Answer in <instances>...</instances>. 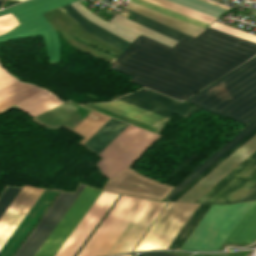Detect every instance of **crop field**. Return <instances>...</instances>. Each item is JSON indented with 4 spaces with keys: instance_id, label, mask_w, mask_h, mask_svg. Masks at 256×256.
<instances>
[{
    "instance_id": "8a807250",
    "label": "crop field",
    "mask_w": 256,
    "mask_h": 256,
    "mask_svg": "<svg viewBox=\"0 0 256 256\" xmlns=\"http://www.w3.org/2000/svg\"><path fill=\"white\" fill-rule=\"evenodd\" d=\"M256 54V44L208 27L191 41L173 47L143 35L109 68L131 81L184 100Z\"/></svg>"
},
{
    "instance_id": "ac0d7876",
    "label": "crop field",
    "mask_w": 256,
    "mask_h": 256,
    "mask_svg": "<svg viewBox=\"0 0 256 256\" xmlns=\"http://www.w3.org/2000/svg\"><path fill=\"white\" fill-rule=\"evenodd\" d=\"M166 203L121 195L77 256L132 251Z\"/></svg>"
},
{
    "instance_id": "34b2d1b8",
    "label": "crop field",
    "mask_w": 256,
    "mask_h": 256,
    "mask_svg": "<svg viewBox=\"0 0 256 256\" xmlns=\"http://www.w3.org/2000/svg\"><path fill=\"white\" fill-rule=\"evenodd\" d=\"M186 102L247 124L256 117V56Z\"/></svg>"
},
{
    "instance_id": "412701ff",
    "label": "crop field",
    "mask_w": 256,
    "mask_h": 256,
    "mask_svg": "<svg viewBox=\"0 0 256 256\" xmlns=\"http://www.w3.org/2000/svg\"><path fill=\"white\" fill-rule=\"evenodd\" d=\"M251 203L211 205L180 249L217 250ZM255 238L256 201H253L224 242L252 243Z\"/></svg>"
},
{
    "instance_id": "f4fd0767",
    "label": "crop field",
    "mask_w": 256,
    "mask_h": 256,
    "mask_svg": "<svg viewBox=\"0 0 256 256\" xmlns=\"http://www.w3.org/2000/svg\"><path fill=\"white\" fill-rule=\"evenodd\" d=\"M76 0H30L20 5L1 11L0 14V41H7L19 37H31L42 34L45 41L49 63L59 62L60 46L57 31L45 20L42 13L58 8Z\"/></svg>"
},
{
    "instance_id": "dd49c442",
    "label": "crop field",
    "mask_w": 256,
    "mask_h": 256,
    "mask_svg": "<svg viewBox=\"0 0 256 256\" xmlns=\"http://www.w3.org/2000/svg\"><path fill=\"white\" fill-rule=\"evenodd\" d=\"M129 125L98 156L102 157L98 168L109 178L114 179L140 156L158 137Z\"/></svg>"
},
{
    "instance_id": "e52e79f7",
    "label": "crop field",
    "mask_w": 256,
    "mask_h": 256,
    "mask_svg": "<svg viewBox=\"0 0 256 256\" xmlns=\"http://www.w3.org/2000/svg\"><path fill=\"white\" fill-rule=\"evenodd\" d=\"M256 182V150L194 202L232 203Z\"/></svg>"
},
{
    "instance_id": "d8731c3e",
    "label": "crop field",
    "mask_w": 256,
    "mask_h": 256,
    "mask_svg": "<svg viewBox=\"0 0 256 256\" xmlns=\"http://www.w3.org/2000/svg\"><path fill=\"white\" fill-rule=\"evenodd\" d=\"M198 205L169 202L135 250L168 248Z\"/></svg>"
},
{
    "instance_id": "5a996713",
    "label": "crop field",
    "mask_w": 256,
    "mask_h": 256,
    "mask_svg": "<svg viewBox=\"0 0 256 256\" xmlns=\"http://www.w3.org/2000/svg\"><path fill=\"white\" fill-rule=\"evenodd\" d=\"M117 197L102 191L55 256H74Z\"/></svg>"
},
{
    "instance_id": "3316defc",
    "label": "crop field",
    "mask_w": 256,
    "mask_h": 256,
    "mask_svg": "<svg viewBox=\"0 0 256 256\" xmlns=\"http://www.w3.org/2000/svg\"><path fill=\"white\" fill-rule=\"evenodd\" d=\"M84 185H80L75 194L61 192L56 201L53 203L51 208L45 214L43 219L21 246L15 256H33L40 245L43 243L45 238L54 228L56 223L65 213L67 208L73 202L75 197L81 191Z\"/></svg>"
},
{
    "instance_id": "28ad6ade",
    "label": "crop field",
    "mask_w": 256,
    "mask_h": 256,
    "mask_svg": "<svg viewBox=\"0 0 256 256\" xmlns=\"http://www.w3.org/2000/svg\"><path fill=\"white\" fill-rule=\"evenodd\" d=\"M118 99L162 115L169 119L173 114L185 118L198 109L162 96L150 90L146 91L143 89L136 93L122 96Z\"/></svg>"
},
{
    "instance_id": "d1516ede",
    "label": "crop field",
    "mask_w": 256,
    "mask_h": 256,
    "mask_svg": "<svg viewBox=\"0 0 256 256\" xmlns=\"http://www.w3.org/2000/svg\"><path fill=\"white\" fill-rule=\"evenodd\" d=\"M43 192L25 186L0 218V249Z\"/></svg>"
},
{
    "instance_id": "22f410ed",
    "label": "crop field",
    "mask_w": 256,
    "mask_h": 256,
    "mask_svg": "<svg viewBox=\"0 0 256 256\" xmlns=\"http://www.w3.org/2000/svg\"><path fill=\"white\" fill-rule=\"evenodd\" d=\"M256 149V135L177 201L193 202Z\"/></svg>"
},
{
    "instance_id": "cbeb9de0",
    "label": "crop field",
    "mask_w": 256,
    "mask_h": 256,
    "mask_svg": "<svg viewBox=\"0 0 256 256\" xmlns=\"http://www.w3.org/2000/svg\"><path fill=\"white\" fill-rule=\"evenodd\" d=\"M90 111L73 102H67L31 120L45 127H64L71 130Z\"/></svg>"
},
{
    "instance_id": "5142ce71",
    "label": "crop field",
    "mask_w": 256,
    "mask_h": 256,
    "mask_svg": "<svg viewBox=\"0 0 256 256\" xmlns=\"http://www.w3.org/2000/svg\"><path fill=\"white\" fill-rule=\"evenodd\" d=\"M256 128V119L249 124L246 128L241 130L235 137L225 143L216 152H214L210 157H208L204 162H202L196 169H194L188 176H186L180 183H178L172 192L167 196V200L172 198L176 193H178L182 188H184L188 183H190L194 178H196L200 173H202L206 168H208L212 163H214L218 158H220L224 153H226L230 148L237 144L241 139H243L247 134H249L253 129Z\"/></svg>"
},
{
    "instance_id": "d9b57169",
    "label": "crop field",
    "mask_w": 256,
    "mask_h": 256,
    "mask_svg": "<svg viewBox=\"0 0 256 256\" xmlns=\"http://www.w3.org/2000/svg\"><path fill=\"white\" fill-rule=\"evenodd\" d=\"M64 12H66L80 27L86 30L95 38L103 41L104 43L120 50L124 51L126 47L130 44L119 37L111 34L110 32L100 28L89 20L85 19L83 15L77 12L70 5L60 8Z\"/></svg>"
},
{
    "instance_id": "733c2abd",
    "label": "crop field",
    "mask_w": 256,
    "mask_h": 256,
    "mask_svg": "<svg viewBox=\"0 0 256 256\" xmlns=\"http://www.w3.org/2000/svg\"><path fill=\"white\" fill-rule=\"evenodd\" d=\"M96 105L120 113L122 115L131 117L133 119L139 120L141 122L147 123L160 129H162V127L169 121V119L167 118L161 117L149 111L143 110L131 104L120 101L118 99L110 103H100Z\"/></svg>"
},
{
    "instance_id": "4a817a6b",
    "label": "crop field",
    "mask_w": 256,
    "mask_h": 256,
    "mask_svg": "<svg viewBox=\"0 0 256 256\" xmlns=\"http://www.w3.org/2000/svg\"><path fill=\"white\" fill-rule=\"evenodd\" d=\"M128 124L111 118L98 132H96L83 147L93 151L97 155L115 139Z\"/></svg>"
},
{
    "instance_id": "bc2a9ffb",
    "label": "crop field",
    "mask_w": 256,
    "mask_h": 256,
    "mask_svg": "<svg viewBox=\"0 0 256 256\" xmlns=\"http://www.w3.org/2000/svg\"><path fill=\"white\" fill-rule=\"evenodd\" d=\"M43 89L18 81L0 89V111Z\"/></svg>"
},
{
    "instance_id": "214f88e0",
    "label": "crop field",
    "mask_w": 256,
    "mask_h": 256,
    "mask_svg": "<svg viewBox=\"0 0 256 256\" xmlns=\"http://www.w3.org/2000/svg\"><path fill=\"white\" fill-rule=\"evenodd\" d=\"M61 103L54 95L43 90L15 105L35 117Z\"/></svg>"
},
{
    "instance_id": "92a150f3",
    "label": "crop field",
    "mask_w": 256,
    "mask_h": 256,
    "mask_svg": "<svg viewBox=\"0 0 256 256\" xmlns=\"http://www.w3.org/2000/svg\"><path fill=\"white\" fill-rule=\"evenodd\" d=\"M125 7L129 8V9H131V10H133V11H135V12L141 14V15H144L148 18H151L153 20H156L160 23H163L167 26H170L174 29L183 31L185 33L191 34L193 36H195L198 33L204 31V29H201V28H198L196 26L184 23L182 21L170 18V17L165 16V15L159 14L157 12H154L152 10H149L147 8H144L142 6L136 5V4L131 3V2L126 4Z\"/></svg>"
},
{
    "instance_id": "dafd665d",
    "label": "crop field",
    "mask_w": 256,
    "mask_h": 256,
    "mask_svg": "<svg viewBox=\"0 0 256 256\" xmlns=\"http://www.w3.org/2000/svg\"><path fill=\"white\" fill-rule=\"evenodd\" d=\"M119 14H121V15H123V16H125V17H127V18H129V19H131L133 21H135V22H138V23H140V24H142V25H144V26H146L148 28H151V29H153V30L163 34V35H166V36H168L170 38H173V39H175L177 41H179L182 37L187 38L189 40H191L193 38V36H191V35H188V34L180 32V31L174 30V29H172L170 27H167V26H165L163 24H160V23L155 22V21H153L151 19H148V18H146L144 16H141V15H139L137 13L129 11V10L125 9V8H123L119 12Z\"/></svg>"
},
{
    "instance_id": "00972430",
    "label": "crop field",
    "mask_w": 256,
    "mask_h": 256,
    "mask_svg": "<svg viewBox=\"0 0 256 256\" xmlns=\"http://www.w3.org/2000/svg\"><path fill=\"white\" fill-rule=\"evenodd\" d=\"M148 2H151L153 4L159 5L161 7L167 8L169 10L181 13L183 15L195 18L197 20H200L202 22H205L207 24L211 23L213 20H215L216 18L209 16L207 14L201 13L199 11L187 8V7H183L165 0H145Z\"/></svg>"
},
{
    "instance_id": "a9b5d70f",
    "label": "crop field",
    "mask_w": 256,
    "mask_h": 256,
    "mask_svg": "<svg viewBox=\"0 0 256 256\" xmlns=\"http://www.w3.org/2000/svg\"><path fill=\"white\" fill-rule=\"evenodd\" d=\"M255 134H256V129L253 130L249 135H247L232 149H230L226 154H224L220 159H218L214 164H212L208 169H206L202 174H200L196 179H194L178 194H176L172 199H170V201H176L178 198H180L184 193H186L190 188H192L196 183H198L202 178H204L208 173H210L214 168H216L220 163H222L226 158H228L232 153H234L239 147H241L245 142H247Z\"/></svg>"
},
{
    "instance_id": "4177f3b9",
    "label": "crop field",
    "mask_w": 256,
    "mask_h": 256,
    "mask_svg": "<svg viewBox=\"0 0 256 256\" xmlns=\"http://www.w3.org/2000/svg\"><path fill=\"white\" fill-rule=\"evenodd\" d=\"M209 205L200 204L199 207L196 209V211L193 213V215L189 218V220L186 222V224L182 227V229L179 231L169 248L178 249L184 238L187 236V234L190 232V230L193 228V226L196 224V222L199 220V218L202 216V214L205 212V210L208 208Z\"/></svg>"
},
{
    "instance_id": "730fd06b",
    "label": "crop field",
    "mask_w": 256,
    "mask_h": 256,
    "mask_svg": "<svg viewBox=\"0 0 256 256\" xmlns=\"http://www.w3.org/2000/svg\"><path fill=\"white\" fill-rule=\"evenodd\" d=\"M131 2H134V3H136V4L145 6V7L150 8V9H153V10H155V11L161 12V13H163V14H165V15H168V16H171V17H174V18H177V19H179V20H182V21L191 23V24H193V25L202 27V28H204V29H205L206 26H207V24H205V23H202V22L197 21V20H195V19H192V18L183 16V15L178 14V13L169 11V10H167V9H164V8L159 7V6L153 5V4H151V3L145 2V1H143V0H131Z\"/></svg>"
},
{
    "instance_id": "eef30255",
    "label": "crop field",
    "mask_w": 256,
    "mask_h": 256,
    "mask_svg": "<svg viewBox=\"0 0 256 256\" xmlns=\"http://www.w3.org/2000/svg\"><path fill=\"white\" fill-rule=\"evenodd\" d=\"M84 106L89 107V108H92V109L97 110V111H100V112L105 113V114H107V115L113 116V117H115V118L121 119V120H123V121H126V122H128V123L134 124V125H136V126H139V127H141V128L147 129V130H149V131L155 132V133H157V134H159V132H160V129H157V128H155V127H152V126H149V125H147V124L141 123V122H139V121L133 120V119H131V118L122 116V115H120V114L114 113V112H112V111L106 110V109L101 108V107H98V106H96V105L87 104V105H84Z\"/></svg>"
},
{
    "instance_id": "ae1a2a85",
    "label": "crop field",
    "mask_w": 256,
    "mask_h": 256,
    "mask_svg": "<svg viewBox=\"0 0 256 256\" xmlns=\"http://www.w3.org/2000/svg\"><path fill=\"white\" fill-rule=\"evenodd\" d=\"M214 23H216V24L215 25L211 24V27L216 28V29H218L220 31H223L225 33H228V34H231V35H234V36H237V37H240V38H243V39H246V40H249V41H252V42L256 43V36H254L252 34H249V33H246L244 31L232 28L230 26L221 24V23L216 22V21Z\"/></svg>"
},
{
    "instance_id": "d3111659",
    "label": "crop field",
    "mask_w": 256,
    "mask_h": 256,
    "mask_svg": "<svg viewBox=\"0 0 256 256\" xmlns=\"http://www.w3.org/2000/svg\"><path fill=\"white\" fill-rule=\"evenodd\" d=\"M20 188L8 186L0 196V217L7 209L13 198L16 196Z\"/></svg>"
},
{
    "instance_id": "750c4746",
    "label": "crop field",
    "mask_w": 256,
    "mask_h": 256,
    "mask_svg": "<svg viewBox=\"0 0 256 256\" xmlns=\"http://www.w3.org/2000/svg\"><path fill=\"white\" fill-rule=\"evenodd\" d=\"M16 81L0 67V88Z\"/></svg>"
},
{
    "instance_id": "bd1437ed",
    "label": "crop field",
    "mask_w": 256,
    "mask_h": 256,
    "mask_svg": "<svg viewBox=\"0 0 256 256\" xmlns=\"http://www.w3.org/2000/svg\"><path fill=\"white\" fill-rule=\"evenodd\" d=\"M250 199H256V185L250 191H248L239 201Z\"/></svg>"
},
{
    "instance_id": "1d83c4d3",
    "label": "crop field",
    "mask_w": 256,
    "mask_h": 256,
    "mask_svg": "<svg viewBox=\"0 0 256 256\" xmlns=\"http://www.w3.org/2000/svg\"><path fill=\"white\" fill-rule=\"evenodd\" d=\"M139 256H174L167 252H150V253H143Z\"/></svg>"
},
{
    "instance_id": "120bbe31",
    "label": "crop field",
    "mask_w": 256,
    "mask_h": 256,
    "mask_svg": "<svg viewBox=\"0 0 256 256\" xmlns=\"http://www.w3.org/2000/svg\"><path fill=\"white\" fill-rule=\"evenodd\" d=\"M3 1H4V0H0V5L2 4Z\"/></svg>"
},
{
    "instance_id": "d32e631a",
    "label": "crop field",
    "mask_w": 256,
    "mask_h": 256,
    "mask_svg": "<svg viewBox=\"0 0 256 256\" xmlns=\"http://www.w3.org/2000/svg\"><path fill=\"white\" fill-rule=\"evenodd\" d=\"M20 1H24V0H20Z\"/></svg>"
},
{
    "instance_id": "5866460e",
    "label": "crop field",
    "mask_w": 256,
    "mask_h": 256,
    "mask_svg": "<svg viewBox=\"0 0 256 256\" xmlns=\"http://www.w3.org/2000/svg\"><path fill=\"white\" fill-rule=\"evenodd\" d=\"M128 256H130V255H128Z\"/></svg>"
}]
</instances>
